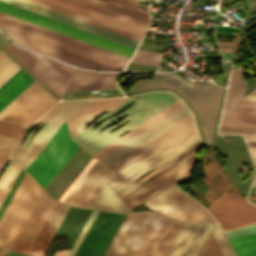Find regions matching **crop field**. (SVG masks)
I'll return each mask as SVG.
<instances>
[{
    "label": "crop field",
    "mask_w": 256,
    "mask_h": 256,
    "mask_svg": "<svg viewBox=\"0 0 256 256\" xmlns=\"http://www.w3.org/2000/svg\"><path fill=\"white\" fill-rule=\"evenodd\" d=\"M86 101L87 100L66 101L53 114H51L46 120H44L29 134V136L23 143L22 147L20 148L19 152L13 159L19 161L26 169L27 166L31 163V161L35 158V156L39 153V151L43 148V146L48 142V140L60 127V125ZM43 124L45 125L35 134L32 141L25 148L30 137Z\"/></svg>",
    "instance_id": "crop-field-9"
},
{
    "label": "crop field",
    "mask_w": 256,
    "mask_h": 256,
    "mask_svg": "<svg viewBox=\"0 0 256 256\" xmlns=\"http://www.w3.org/2000/svg\"><path fill=\"white\" fill-rule=\"evenodd\" d=\"M0 26H1V27H4V28H6V29H9V30L18 32V33H20V34H23V35L32 37V38H34V39H37V40L46 42V43H48V44H51V45L60 47V48H62V49H65V50L74 52V53H76V54H79V55L88 57V58H90V59H93V60L102 62V63H104V64H107V65L116 67V68L121 69V70H123L124 67H125V64H122V63H120V62H117V61L108 59V58H106V57H103V56L94 54V53H92V52H89V51L80 49V48H78V47H75V46L66 44V43H64V42L55 40V39H53V38H50V37L41 35V34H39V33L30 31V30H27V29H25V28H22V27L13 25V24H11V23H8V22L2 21V20H0Z\"/></svg>",
    "instance_id": "crop-field-21"
},
{
    "label": "crop field",
    "mask_w": 256,
    "mask_h": 256,
    "mask_svg": "<svg viewBox=\"0 0 256 256\" xmlns=\"http://www.w3.org/2000/svg\"><path fill=\"white\" fill-rule=\"evenodd\" d=\"M212 233H213L219 247L221 248L224 256H234L230 247L228 246L224 236L222 235L218 225L215 226Z\"/></svg>",
    "instance_id": "crop-field-44"
},
{
    "label": "crop field",
    "mask_w": 256,
    "mask_h": 256,
    "mask_svg": "<svg viewBox=\"0 0 256 256\" xmlns=\"http://www.w3.org/2000/svg\"><path fill=\"white\" fill-rule=\"evenodd\" d=\"M112 175V172L96 160L64 202L87 208Z\"/></svg>",
    "instance_id": "crop-field-13"
},
{
    "label": "crop field",
    "mask_w": 256,
    "mask_h": 256,
    "mask_svg": "<svg viewBox=\"0 0 256 256\" xmlns=\"http://www.w3.org/2000/svg\"><path fill=\"white\" fill-rule=\"evenodd\" d=\"M127 98L115 99H91L83 105L68 121V127L71 135L91 124L100 114L114 109ZM73 137V136H72Z\"/></svg>",
    "instance_id": "crop-field-17"
},
{
    "label": "crop field",
    "mask_w": 256,
    "mask_h": 256,
    "mask_svg": "<svg viewBox=\"0 0 256 256\" xmlns=\"http://www.w3.org/2000/svg\"><path fill=\"white\" fill-rule=\"evenodd\" d=\"M35 80L21 68L0 86V111Z\"/></svg>",
    "instance_id": "crop-field-29"
},
{
    "label": "crop field",
    "mask_w": 256,
    "mask_h": 256,
    "mask_svg": "<svg viewBox=\"0 0 256 256\" xmlns=\"http://www.w3.org/2000/svg\"><path fill=\"white\" fill-rule=\"evenodd\" d=\"M197 152H195L193 155L191 154L192 156L181 162L177 181L190 175L193 172L197 158Z\"/></svg>",
    "instance_id": "crop-field-43"
},
{
    "label": "crop field",
    "mask_w": 256,
    "mask_h": 256,
    "mask_svg": "<svg viewBox=\"0 0 256 256\" xmlns=\"http://www.w3.org/2000/svg\"><path fill=\"white\" fill-rule=\"evenodd\" d=\"M92 1L101 3L103 5L115 8L117 10L129 13L131 15H134L149 21L148 13L137 9L138 6H141L147 9L148 7L138 4L139 2H136L134 0H92Z\"/></svg>",
    "instance_id": "crop-field-36"
},
{
    "label": "crop field",
    "mask_w": 256,
    "mask_h": 256,
    "mask_svg": "<svg viewBox=\"0 0 256 256\" xmlns=\"http://www.w3.org/2000/svg\"><path fill=\"white\" fill-rule=\"evenodd\" d=\"M24 128L0 122V134L18 139Z\"/></svg>",
    "instance_id": "crop-field-45"
},
{
    "label": "crop field",
    "mask_w": 256,
    "mask_h": 256,
    "mask_svg": "<svg viewBox=\"0 0 256 256\" xmlns=\"http://www.w3.org/2000/svg\"><path fill=\"white\" fill-rule=\"evenodd\" d=\"M224 231L256 222V206L247 203L231 186L208 207Z\"/></svg>",
    "instance_id": "crop-field-10"
},
{
    "label": "crop field",
    "mask_w": 256,
    "mask_h": 256,
    "mask_svg": "<svg viewBox=\"0 0 256 256\" xmlns=\"http://www.w3.org/2000/svg\"><path fill=\"white\" fill-rule=\"evenodd\" d=\"M17 164L18 163L14 162L13 160H10L8 167L6 168L5 172L1 176V178H0V195L3 191V189L5 188L8 180L10 179L12 173L14 172Z\"/></svg>",
    "instance_id": "crop-field-48"
},
{
    "label": "crop field",
    "mask_w": 256,
    "mask_h": 256,
    "mask_svg": "<svg viewBox=\"0 0 256 256\" xmlns=\"http://www.w3.org/2000/svg\"><path fill=\"white\" fill-rule=\"evenodd\" d=\"M96 213H97V211L92 210V212H91L89 218L87 219V221H86L84 227L82 228V230H81L79 236L77 237V239H76V241H75L73 247L71 248V250H70L68 256H73V254L75 253V251H76L78 245L80 244V242H81L83 236L85 235V233H86L88 227L90 226L92 220L94 219Z\"/></svg>",
    "instance_id": "crop-field-46"
},
{
    "label": "crop field",
    "mask_w": 256,
    "mask_h": 256,
    "mask_svg": "<svg viewBox=\"0 0 256 256\" xmlns=\"http://www.w3.org/2000/svg\"><path fill=\"white\" fill-rule=\"evenodd\" d=\"M250 190L256 192V187H251Z\"/></svg>",
    "instance_id": "crop-field-59"
},
{
    "label": "crop field",
    "mask_w": 256,
    "mask_h": 256,
    "mask_svg": "<svg viewBox=\"0 0 256 256\" xmlns=\"http://www.w3.org/2000/svg\"><path fill=\"white\" fill-rule=\"evenodd\" d=\"M118 74L95 73L75 68L63 97L114 95Z\"/></svg>",
    "instance_id": "crop-field-12"
},
{
    "label": "crop field",
    "mask_w": 256,
    "mask_h": 256,
    "mask_svg": "<svg viewBox=\"0 0 256 256\" xmlns=\"http://www.w3.org/2000/svg\"><path fill=\"white\" fill-rule=\"evenodd\" d=\"M197 141H199V138L196 137L195 139H193L192 141L188 142L187 144H185L184 146H182L181 148H179L178 150L174 151L173 153H171L170 155H168L167 157H165L164 159L160 160L159 162H157L156 164H154L153 166H151L150 168L146 169L145 171H143L142 173H140L139 175H137L136 177L132 178L131 180H129L128 182H126L125 184H123L122 186L118 187L117 189H115L116 193L119 192L120 190H122L123 188H125L126 186L130 185L137 177H139L140 175L148 172L149 170L161 165L162 163L166 162L167 160H169L170 158H172L173 156L177 155L178 153H180L181 151L185 150L186 148H188L189 146H191L192 144L196 143Z\"/></svg>",
    "instance_id": "crop-field-41"
},
{
    "label": "crop field",
    "mask_w": 256,
    "mask_h": 256,
    "mask_svg": "<svg viewBox=\"0 0 256 256\" xmlns=\"http://www.w3.org/2000/svg\"><path fill=\"white\" fill-rule=\"evenodd\" d=\"M196 136H198L197 131L195 129V126L192 125L191 127L179 133L161 146L149 152L142 158L138 159L131 165L116 173L109 181V184L114 189L117 188L121 184L125 183L135 175L139 174L140 172L153 165L154 163L167 156L168 154L181 147Z\"/></svg>",
    "instance_id": "crop-field-11"
},
{
    "label": "crop field",
    "mask_w": 256,
    "mask_h": 256,
    "mask_svg": "<svg viewBox=\"0 0 256 256\" xmlns=\"http://www.w3.org/2000/svg\"><path fill=\"white\" fill-rule=\"evenodd\" d=\"M239 40H240V37L235 38L233 49H227L222 42H218V44H219L222 51L234 52V50L236 48V45H237Z\"/></svg>",
    "instance_id": "crop-field-52"
},
{
    "label": "crop field",
    "mask_w": 256,
    "mask_h": 256,
    "mask_svg": "<svg viewBox=\"0 0 256 256\" xmlns=\"http://www.w3.org/2000/svg\"><path fill=\"white\" fill-rule=\"evenodd\" d=\"M143 204L176 222H215L204 207L174 184Z\"/></svg>",
    "instance_id": "crop-field-5"
},
{
    "label": "crop field",
    "mask_w": 256,
    "mask_h": 256,
    "mask_svg": "<svg viewBox=\"0 0 256 256\" xmlns=\"http://www.w3.org/2000/svg\"><path fill=\"white\" fill-rule=\"evenodd\" d=\"M254 202H256V200Z\"/></svg>",
    "instance_id": "crop-field-62"
},
{
    "label": "crop field",
    "mask_w": 256,
    "mask_h": 256,
    "mask_svg": "<svg viewBox=\"0 0 256 256\" xmlns=\"http://www.w3.org/2000/svg\"><path fill=\"white\" fill-rule=\"evenodd\" d=\"M61 1L67 2L69 4L81 7L83 9L95 12L97 14L109 17L111 19L123 22L125 24L137 27L145 31H147L150 26L148 21L111 9L109 7L97 4L89 0H61Z\"/></svg>",
    "instance_id": "crop-field-25"
},
{
    "label": "crop field",
    "mask_w": 256,
    "mask_h": 256,
    "mask_svg": "<svg viewBox=\"0 0 256 256\" xmlns=\"http://www.w3.org/2000/svg\"><path fill=\"white\" fill-rule=\"evenodd\" d=\"M220 126L256 127V111L223 110Z\"/></svg>",
    "instance_id": "crop-field-33"
},
{
    "label": "crop field",
    "mask_w": 256,
    "mask_h": 256,
    "mask_svg": "<svg viewBox=\"0 0 256 256\" xmlns=\"http://www.w3.org/2000/svg\"><path fill=\"white\" fill-rule=\"evenodd\" d=\"M183 108L185 109L186 112L183 110ZM183 108L180 109L179 111L175 112L174 114H172L171 116H169V117L166 118L165 120L161 121L160 123H158V124L155 125L154 127L150 128L149 130H147L146 132H144V133L141 134L140 136L136 137L135 139H133V140L130 141L129 143L125 144L124 146H122L121 148H119L118 150H116L115 152H113V153H111L110 155H108V156L111 157L112 159L115 158L116 156H118L119 154H121L122 152H124L125 150H127L128 148L132 147L133 145H135L136 143H138L139 141H141L142 139H144L145 137H147L148 135H150L151 133H153L154 131H156L157 129H159L160 127H162L163 125H165L166 123L170 122L171 120H173L174 118H176L177 116H179L180 114H182L183 112H185V113H183L182 115H180L179 117H177L176 119H174L173 121H171L170 123L166 124L165 126H163L162 128H160L159 130H157L156 132H154L153 134H151L150 136H148L147 138H145L144 140H142L141 142H139L138 144H136L135 146H133L132 148L128 149L127 151H125L124 153H122L121 155H119L118 157H116L115 159L112 160L111 158H109V157L107 156V157L103 158V159L100 160V161H101L102 163H104L106 166L109 165L110 163H112L113 161L117 160L118 158H120L121 156H123L124 154H126L127 152L131 151L132 149H134L135 147H137V146L140 145L141 143L145 142L146 140H148L149 138H151V137L154 136L155 134L159 133L160 131H162L163 129H165L166 127H168L169 125L173 124L174 122H176L177 120H179V119L182 118L183 116H185V115H187L188 113H190L189 110L186 108V106L183 107Z\"/></svg>",
    "instance_id": "crop-field-28"
},
{
    "label": "crop field",
    "mask_w": 256,
    "mask_h": 256,
    "mask_svg": "<svg viewBox=\"0 0 256 256\" xmlns=\"http://www.w3.org/2000/svg\"><path fill=\"white\" fill-rule=\"evenodd\" d=\"M4 49L9 52L16 60H18L26 69L32 72L39 55H33L24 52L14 47L10 42H7Z\"/></svg>",
    "instance_id": "crop-field-37"
},
{
    "label": "crop field",
    "mask_w": 256,
    "mask_h": 256,
    "mask_svg": "<svg viewBox=\"0 0 256 256\" xmlns=\"http://www.w3.org/2000/svg\"><path fill=\"white\" fill-rule=\"evenodd\" d=\"M55 203L26 172L0 219V247L27 254Z\"/></svg>",
    "instance_id": "crop-field-1"
},
{
    "label": "crop field",
    "mask_w": 256,
    "mask_h": 256,
    "mask_svg": "<svg viewBox=\"0 0 256 256\" xmlns=\"http://www.w3.org/2000/svg\"><path fill=\"white\" fill-rule=\"evenodd\" d=\"M19 68L20 67L15 62H13L7 55L3 59H1L0 60V85L5 80H7Z\"/></svg>",
    "instance_id": "crop-field-40"
},
{
    "label": "crop field",
    "mask_w": 256,
    "mask_h": 256,
    "mask_svg": "<svg viewBox=\"0 0 256 256\" xmlns=\"http://www.w3.org/2000/svg\"><path fill=\"white\" fill-rule=\"evenodd\" d=\"M247 96H254V97H256V88Z\"/></svg>",
    "instance_id": "crop-field-56"
},
{
    "label": "crop field",
    "mask_w": 256,
    "mask_h": 256,
    "mask_svg": "<svg viewBox=\"0 0 256 256\" xmlns=\"http://www.w3.org/2000/svg\"><path fill=\"white\" fill-rule=\"evenodd\" d=\"M0 19L5 20V21H8V22H11V23H13V24H16V25H19V26H22V27H25V28H27V29H30V30H33V31H36V32H39V33H41V34H44V35L53 37V38H55V39L64 41V42H66V43H69V44L78 46V47H80V48H83V49L92 51V52H94V53H97V54L106 56V57H108V58H111V59L120 61V62L125 63V64H126L127 61H128V58H125V57H123V56H120V55L111 53V52H109V51H106V50L97 48V47H95V46H92V45L83 43V42H81V41H78V40L72 39V38H70V37H67V36L58 34V33H56V32H53V31L44 29V28H42V27L33 25V24H31V23H28V22L19 20V19H17V18H14V17L8 16V15H5V14H3V13H0Z\"/></svg>",
    "instance_id": "crop-field-23"
},
{
    "label": "crop field",
    "mask_w": 256,
    "mask_h": 256,
    "mask_svg": "<svg viewBox=\"0 0 256 256\" xmlns=\"http://www.w3.org/2000/svg\"><path fill=\"white\" fill-rule=\"evenodd\" d=\"M21 168H22V167L18 164V166H17L15 172L13 173L11 179L9 180V182H8V184H7V186H6V188L4 189V191H3V193H2V195H1V197H0V205H1L2 201L4 200L6 194L8 193L10 187L12 186L13 182L15 181V179H16L18 173L20 172Z\"/></svg>",
    "instance_id": "crop-field-51"
},
{
    "label": "crop field",
    "mask_w": 256,
    "mask_h": 256,
    "mask_svg": "<svg viewBox=\"0 0 256 256\" xmlns=\"http://www.w3.org/2000/svg\"><path fill=\"white\" fill-rule=\"evenodd\" d=\"M224 233L237 256H256V224Z\"/></svg>",
    "instance_id": "crop-field-26"
},
{
    "label": "crop field",
    "mask_w": 256,
    "mask_h": 256,
    "mask_svg": "<svg viewBox=\"0 0 256 256\" xmlns=\"http://www.w3.org/2000/svg\"><path fill=\"white\" fill-rule=\"evenodd\" d=\"M71 69L72 66L51 61L40 56L32 74L60 96Z\"/></svg>",
    "instance_id": "crop-field-19"
},
{
    "label": "crop field",
    "mask_w": 256,
    "mask_h": 256,
    "mask_svg": "<svg viewBox=\"0 0 256 256\" xmlns=\"http://www.w3.org/2000/svg\"><path fill=\"white\" fill-rule=\"evenodd\" d=\"M139 1H142V2H143L144 0H139Z\"/></svg>",
    "instance_id": "crop-field-60"
},
{
    "label": "crop field",
    "mask_w": 256,
    "mask_h": 256,
    "mask_svg": "<svg viewBox=\"0 0 256 256\" xmlns=\"http://www.w3.org/2000/svg\"><path fill=\"white\" fill-rule=\"evenodd\" d=\"M223 88L208 83L184 81L180 95L188 100L196 111L207 144H212L214 125Z\"/></svg>",
    "instance_id": "crop-field-8"
},
{
    "label": "crop field",
    "mask_w": 256,
    "mask_h": 256,
    "mask_svg": "<svg viewBox=\"0 0 256 256\" xmlns=\"http://www.w3.org/2000/svg\"><path fill=\"white\" fill-rule=\"evenodd\" d=\"M16 139L0 135V154L9 156Z\"/></svg>",
    "instance_id": "crop-field-47"
},
{
    "label": "crop field",
    "mask_w": 256,
    "mask_h": 256,
    "mask_svg": "<svg viewBox=\"0 0 256 256\" xmlns=\"http://www.w3.org/2000/svg\"><path fill=\"white\" fill-rule=\"evenodd\" d=\"M27 1L32 2V3H35V4H38V5H40V6H43V7L49 8V9H52V10H54V11H57V12H60V13H63V14H66V15H68V16H71V17L80 19V20H82V21L91 23V24H93V25H96V26L105 28V29H107V30H110V31L119 33V34H121V35L130 37V38H133V39L138 40V41H140V39H141V36H138V35H135V34H133V33H130V32L121 30V29H119V28H116V27H113V26L104 24V23H102V22H99V21H96V20L87 18V17H85V16H82V15H79V14H76V13H73V12H71V11H68V10H65V9H62V8H59V7H56V6H54V5H51V4L42 2V1H40V0H27Z\"/></svg>",
    "instance_id": "crop-field-34"
},
{
    "label": "crop field",
    "mask_w": 256,
    "mask_h": 256,
    "mask_svg": "<svg viewBox=\"0 0 256 256\" xmlns=\"http://www.w3.org/2000/svg\"><path fill=\"white\" fill-rule=\"evenodd\" d=\"M256 166V152H250Z\"/></svg>",
    "instance_id": "crop-field-55"
},
{
    "label": "crop field",
    "mask_w": 256,
    "mask_h": 256,
    "mask_svg": "<svg viewBox=\"0 0 256 256\" xmlns=\"http://www.w3.org/2000/svg\"><path fill=\"white\" fill-rule=\"evenodd\" d=\"M56 101L57 100L55 98H53L48 92L44 90L13 119H11L9 123L23 127H29L35 119H37Z\"/></svg>",
    "instance_id": "crop-field-27"
},
{
    "label": "crop field",
    "mask_w": 256,
    "mask_h": 256,
    "mask_svg": "<svg viewBox=\"0 0 256 256\" xmlns=\"http://www.w3.org/2000/svg\"><path fill=\"white\" fill-rule=\"evenodd\" d=\"M73 142L64 122L26 170L45 188L79 147Z\"/></svg>",
    "instance_id": "crop-field-6"
},
{
    "label": "crop field",
    "mask_w": 256,
    "mask_h": 256,
    "mask_svg": "<svg viewBox=\"0 0 256 256\" xmlns=\"http://www.w3.org/2000/svg\"><path fill=\"white\" fill-rule=\"evenodd\" d=\"M183 106H185V104L182 101H180L179 99L176 100L169 106L165 107L164 109H162L161 111H159L158 113H156L155 115H153L152 117L144 121L143 123L139 124L129 132H126L121 137L117 138L116 140L109 143L108 145H106L105 147H103L102 149H100L99 151L95 152L92 155H94L99 160L102 159L103 157L107 156L117 148L121 147L128 141L132 140L133 138L143 133L153 125L157 124L164 118L168 117L169 115H171L178 109L182 108Z\"/></svg>",
    "instance_id": "crop-field-20"
},
{
    "label": "crop field",
    "mask_w": 256,
    "mask_h": 256,
    "mask_svg": "<svg viewBox=\"0 0 256 256\" xmlns=\"http://www.w3.org/2000/svg\"><path fill=\"white\" fill-rule=\"evenodd\" d=\"M6 54L0 52V59L3 58Z\"/></svg>",
    "instance_id": "crop-field-58"
},
{
    "label": "crop field",
    "mask_w": 256,
    "mask_h": 256,
    "mask_svg": "<svg viewBox=\"0 0 256 256\" xmlns=\"http://www.w3.org/2000/svg\"><path fill=\"white\" fill-rule=\"evenodd\" d=\"M181 76L174 74H155L153 79L140 80L136 82L131 89V92L152 89V88H169L176 92L179 91Z\"/></svg>",
    "instance_id": "crop-field-32"
},
{
    "label": "crop field",
    "mask_w": 256,
    "mask_h": 256,
    "mask_svg": "<svg viewBox=\"0 0 256 256\" xmlns=\"http://www.w3.org/2000/svg\"><path fill=\"white\" fill-rule=\"evenodd\" d=\"M2 30L12 39L14 42L31 50L39 51L47 55L53 56L61 61H65L70 64H75L87 68L103 69V70H118L116 68L104 65L102 63L90 60L88 58L76 55L74 53L62 50L60 48L48 45L46 43L34 40L32 38L20 35L18 33L6 30Z\"/></svg>",
    "instance_id": "crop-field-14"
},
{
    "label": "crop field",
    "mask_w": 256,
    "mask_h": 256,
    "mask_svg": "<svg viewBox=\"0 0 256 256\" xmlns=\"http://www.w3.org/2000/svg\"><path fill=\"white\" fill-rule=\"evenodd\" d=\"M199 256H223L220 248L218 247L212 233L208 240L206 241L202 251Z\"/></svg>",
    "instance_id": "crop-field-42"
},
{
    "label": "crop field",
    "mask_w": 256,
    "mask_h": 256,
    "mask_svg": "<svg viewBox=\"0 0 256 256\" xmlns=\"http://www.w3.org/2000/svg\"><path fill=\"white\" fill-rule=\"evenodd\" d=\"M152 213L141 212L131 215ZM125 217L104 256H130L150 216ZM183 224H175L153 214L131 256H166Z\"/></svg>",
    "instance_id": "crop-field-2"
},
{
    "label": "crop field",
    "mask_w": 256,
    "mask_h": 256,
    "mask_svg": "<svg viewBox=\"0 0 256 256\" xmlns=\"http://www.w3.org/2000/svg\"><path fill=\"white\" fill-rule=\"evenodd\" d=\"M0 12L130 58L134 48L0 0Z\"/></svg>",
    "instance_id": "crop-field-4"
},
{
    "label": "crop field",
    "mask_w": 256,
    "mask_h": 256,
    "mask_svg": "<svg viewBox=\"0 0 256 256\" xmlns=\"http://www.w3.org/2000/svg\"><path fill=\"white\" fill-rule=\"evenodd\" d=\"M96 159L93 157L92 160L87 164V166L83 169V171L78 175V177L74 180V182L69 186V188L65 191V193L60 197V201H63L64 198L68 195V193L73 189V187L77 184V182L81 179V177L85 174V172L90 168V166L94 163Z\"/></svg>",
    "instance_id": "crop-field-49"
},
{
    "label": "crop field",
    "mask_w": 256,
    "mask_h": 256,
    "mask_svg": "<svg viewBox=\"0 0 256 256\" xmlns=\"http://www.w3.org/2000/svg\"><path fill=\"white\" fill-rule=\"evenodd\" d=\"M200 146H201L200 142H197L196 144L192 145L185 151L181 152L174 158L170 159L169 161H167L163 165L159 166L158 168L153 170L151 173H149L145 177H143L140 180H138L137 182L131 184L130 186L123 189L122 191H120L117 194L119 195V197L123 200V202L126 204V206L130 210L134 209L141 203L145 202L146 200H148L149 198H151L152 196H154L161 190L165 189L166 187H168L169 185L174 183L175 179H176L179 161L182 160L184 157H186L188 154H190L191 152H193ZM175 164H177V165H175ZM172 166H174V167L171 168L169 171L154 178L153 180L147 182L142 187L137 189L146 180L154 177L155 175L161 173L162 171H164ZM135 189H137V190L135 192H133ZM130 193H132V194H130ZM126 196H128V197H126Z\"/></svg>",
    "instance_id": "crop-field-7"
},
{
    "label": "crop field",
    "mask_w": 256,
    "mask_h": 256,
    "mask_svg": "<svg viewBox=\"0 0 256 256\" xmlns=\"http://www.w3.org/2000/svg\"><path fill=\"white\" fill-rule=\"evenodd\" d=\"M88 208L120 213L130 212L108 183Z\"/></svg>",
    "instance_id": "crop-field-30"
},
{
    "label": "crop field",
    "mask_w": 256,
    "mask_h": 256,
    "mask_svg": "<svg viewBox=\"0 0 256 256\" xmlns=\"http://www.w3.org/2000/svg\"><path fill=\"white\" fill-rule=\"evenodd\" d=\"M176 99H178L176 96L168 92H152V93H144V94L132 96L123 104L115 108L114 110L103 114L88 128L74 135L72 138L74 141H76L79 145H81L83 148H85L88 152L92 154L96 150L100 149L110 141L114 140L121 134L125 133L126 131H128L135 125L139 124L146 118L150 117L157 111L161 110L162 108H164L171 102L175 101ZM134 101L136 102L130 108L118 114L119 112L127 108L130 104H132ZM129 112L131 113L121 123L111 126L105 130H102L103 128L119 121ZM111 116H114V117L104 121L105 119ZM102 121H104L102 124H100L98 127L90 131L93 127H95L98 123ZM127 121L129 122L124 124L121 128L114 130L116 127L120 126L121 124ZM112 130L114 131L111 132Z\"/></svg>",
    "instance_id": "crop-field-3"
},
{
    "label": "crop field",
    "mask_w": 256,
    "mask_h": 256,
    "mask_svg": "<svg viewBox=\"0 0 256 256\" xmlns=\"http://www.w3.org/2000/svg\"><path fill=\"white\" fill-rule=\"evenodd\" d=\"M247 81H242V67L233 69L223 109L256 110V98L243 97Z\"/></svg>",
    "instance_id": "crop-field-22"
},
{
    "label": "crop field",
    "mask_w": 256,
    "mask_h": 256,
    "mask_svg": "<svg viewBox=\"0 0 256 256\" xmlns=\"http://www.w3.org/2000/svg\"><path fill=\"white\" fill-rule=\"evenodd\" d=\"M69 250L56 252L55 256H67Z\"/></svg>",
    "instance_id": "crop-field-54"
},
{
    "label": "crop field",
    "mask_w": 256,
    "mask_h": 256,
    "mask_svg": "<svg viewBox=\"0 0 256 256\" xmlns=\"http://www.w3.org/2000/svg\"><path fill=\"white\" fill-rule=\"evenodd\" d=\"M151 1H154V0H151Z\"/></svg>",
    "instance_id": "crop-field-61"
},
{
    "label": "crop field",
    "mask_w": 256,
    "mask_h": 256,
    "mask_svg": "<svg viewBox=\"0 0 256 256\" xmlns=\"http://www.w3.org/2000/svg\"><path fill=\"white\" fill-rule=\"evenodd\" d=\"M192 124L194 122L190 113L107 167L115 173L118 172Z\"/></svg>",
    "instance_id": "crop-field-15"
},
{
    "label": "crop field",
    "mask_w": 256,
    "mask_h": 256,
    "mask_svg": "<svg viewBox=\"0 0 256 256\" xmlns=\"http://www.w3.org/2000/svg\"><path fill=\"white\" fill-rule=\"evenodd\" d=\"M63 102H65V101H60V102H58L53 108H51L47 113H51V112H53L57 107H59ZM45 114L44 116H42L38 121H36L32 126H31V128L27 131V133L34 127V126H36L38 123H40V122H42L49 114ZM26 133V134H27ZM25 134V135H26ZM25 135H24V137H25ZM23 137V138H24ZM22 138V139H23ZM21 140V139H20ZM22 141V140H21ZM21 141L19 142V144L17 145V147H16V149H15V151H14V153L12 154V156H11V158H13L14 157V155L17 153V151H18V149H19V147H20V145H21Z\"/></svg>",
    "instance_id": "crop-field-50"
},
{
    "label": "crop field",
    "mask_w": 256,
    "mask_h": 256,
    "mask_svg": "<svg viewBox=\"0 0 256 256\" xmlns=\"http://www.w3.org/2000/svg\"><path fill=\"white\" fill-rule=\"evenodd\" d=\"M202 224H184L167 256H185ZM213 224H203L186 256H196Z\"/></svg>",
    "instance_id": "crop-field-18"
},
{
    "label": "crop field",
    "mask_w": 256,
    "mask_h": 256,
    "mask_svg": "<svg viewBox=\"0 0 256 256\" xmlns=\"http://www.w3.org/2000/svg\"><path fill=\"white\" fill-rule=\"evenodd\" d=\"M219 133L243 134L250 151H256V128L220 127Z\"/></svg>",
    "instance_id": "crop-field-38"
},
{
    "label": "crop field",
    "mask_w": 256,
    "mask_h": 256,
    "mask_svg": "<svg viewBox=\"0 0 256 256\" xmlns=\"http://www.w3.org/2000/svg\"><path fill=\"white\" fill-rule=\"evenodd\" d=\"M253 180H256V173ZM251 186H256V181H253Z\"/></svg>",
    "instance_id": "crop-field-57"
},
{
    "label": "crop field",
    "mask_w": 256,
    "mask_h": 256,
    "mask_svg": "<svg viewBox=\"0 0 256 256\" xmlns=\"http://www.w3.org/2000/svg\"><path fill=\"white\" fill-rule=\"evenodd\" d=\"M7 156H3V155H0V170L2 169V167L4 166L6 160H7Z\"/></svg>",
    "instance_id": "crop-field-53"
},
{
    "label": "crop field",
    "mask_w": 256,
    "mask_h": 256,
    "mask_svg": "<svg viewBox=\"0 0 256 256\" xmlns=\"http://www.w3.org/2000/svg\"><path fill=\"white\" fill-rule=\"evenodd\" d=\"M44 89L35 81L0 112V119L8 122Z\"/></svg>",
    "instance_id": "crop-field-31"
},
{
    "label": "crop field",
    "mask_w": 256,
    "mask_h": 256,
    "mask_svg": "<svg viewBox=\"0 0 256 256\" xmlns=\"http://www.w3.org/2000/svg\"><path fill=\"white\" fill-rule=\"evenodd\" d=\"M69 206H66L57 201L54 209L52 210L49 218L47 219L44 227L42 228L39 236L37 237L34 245L32 246L29 254L35 256H42L65 214ZM28 254V253H27Z\"/></svg>",
    "instance_id": "crop-field-24"
},
{
    "label": "crop field",
    "mask_w": 256,
    "mask_h": 256,
    "mask_svg": "<svg viewBox=\"0 0 256 256\" xmlns=\"http://www.w3.org/2000/svg\"><path fill=\"white\" fill-rule=\"evenodd\" d=\"M4 1L9 2V3H12V4H15V5H18V6H20V7L29 9V10H31V11H34V12H37V13H40V14H43V15H45V16L54 18V19H56V20L65 22V23H67V24H70V25L79 27V28H81V29L90 31V32H92V33H95V34L104 36V37H106V38L115 40V41H117V42H120V43L129 45V46L134 47V48H136V46H137V44H138V41H135V40H133V39H130V38L121 36V35H119V34H116V33L110 32V31H107V30H105V29H102V28H99V27H96V26H93V25H91V24L82 22V21H80V20H77V19L68 17V16H66V15H63V14L54 12V11H52V10H49V9H46V8H43V7H40V6H38V5L29 3V2L24 1V0H4Z\"/></svg>",
    "instance_id": "crop-field-16"
},
{
    "label": "crop field",
    "mask_w": 256,
    "mask_h": 256,
    "mask_svg": "<svg viewBox=\"0 0 256 256\" xmlns=\"http://www.w3.org/2000/svg\"><path fill=\"white\" fill-rule=\"evenodd\" d=\"M161 59H162L161 53L137 49L131 61L158 67Z\"/></svg>",
    "instance_id": "crop-field-39"
},
{
    "label": "crop field",
    "mask_w": 256,
    "mask_h": 256,
    "mask_svg": "<svg viewBox=\"0 0 256 256\" xmlns=\"http://www.w3.org/2000/svg\"><path fill=\"white\" fill-rule=\"evenodd\" d=\"M42 1H45V2H48V3L54 4V5H56V6H59V7L68 9V10H71V11H73V12H76V13H79V14H82V15H85V16H87V17H90V18H93V19L102 21V22H104V23H107V24H110V25L119 27V28H121V29L130 31V32H133V33L138 34V35H141V36H143L144 33H145V31L139 30V29H137V28H134V27L125 25V24H123V23H120V22L111 20V19H109V18H106V17L100 16V15H97V14H95V13H92V12H89V11H86V10H83V9H81V8H78V7L69 5V4H67V3H64V2H61V1H58V0H42Z\"/></svg>",
    "instance_id": "crop-field-35"
}]
</instances>
